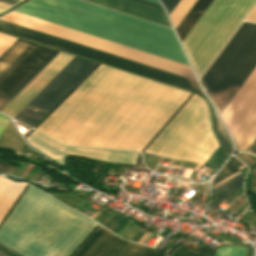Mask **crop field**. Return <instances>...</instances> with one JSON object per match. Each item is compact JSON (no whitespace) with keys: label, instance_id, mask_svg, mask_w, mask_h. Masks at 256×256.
<instances>
[{"label":"crop field","instance_id":"13","mask_svg":"<svg viewBox=\"0 0 256 256\" xmlns=\"http://www.w3.org/2000/svg\"><path fill=\"white\" fill-rule=\"evenodd\" d=\"M159 24L170 26L163 10L132 0H87Z\"/></svg>","mask_w":256,"mask_h":256},{"label":"crop field","instance_id":"1","mask_svg":"<svg viewBox=\"0 0 256 256\" xmlns=\"http://www.w3.org/2000/svg\"><path fill=\"white\" fill-rule=\"evenodd\" d=\"M190 94L100 65L36 130L64 145L142 151Z\"/></svg>","mask_w":256,"mask_h":256},{"label":"crop field","instance_id":"23","mask_svg":"<svg viewBox=\"0 0 256 256\" xmlns=\"http://www.w3.org/2000/svg\"><path fill=\"white\" fill-rule=\"evenodd\" d=\"M224 159H225V157L219 147L212 154V156L207 160V162L204 164V166H207V167L217 170L221 166Z\"/></svg>","mask_w":256,"mask_h":256},{"label":"crop field","instance_id":"7","mask_svg":"<svg viewBox=\"0 0 256 256\" xmlns=\"http://www.w3.org/2000/svg\"><path fill=\"white\" fill-rule=\"evenodd\" d=\"M256 0H214L182 42L199 79Z\"/></svg>","mask_w":256,"mask_h":256},{"label":"crop field","instance_id":"27","mask_svg":"<svg viewBox=\"0 0 256 256\" xmlns=\"http://www.w3.org/2000/svg\"><path fill=\"white\" fill-rule=\"evenodd\" d=\"M160 1L166 8L168 15L173 10V8L176 6V4L179 2V0H160Z\"/></svg>","mask_w":256,"mask_h":256},{"label":"crop field","instance_id":"21","mask_svg":"<svg viewBox=\"0 0 256 256\" xmlns=\"http://www.w3.org/2000/svg\"><path fill=\"white\" fill-rule=\"evenodd\" d=\"M214 251L202 246L199 253L195 254L187 250L186 247L178 246L171 254V256H213Z\"/></svg>","mask_w":256,"mask_h":256},{"label":"crop field","instance_id":"39","mask_svg":"<svg viewBox=\"0 0 256 256\" xmlns=\"http://www.w3.org/2000/svg\"><path fill=\"white\" fill-rule=\"evenodd\" d=\"M0 256H4V255H2V254L0 253Z\"/></svg>","mask_w":256,"mask_h":256},{"label":"crop field","instance_id":"19","mask_svg":"<svg viewBox=\"0 0 256 256\" xmlns=\"http://www.w3.org/2000/svg\"><path fill=\"white\" fill-rule=\"evenodd\" d=\"M213 115H214V124H215V130H216L217 137H218L226 155L228 156L232 150L231 140H230L229 136L227 135V133L225 132V130L223 129L214 110H213Z\"/></svg>","mask_w":256,"mask_h":256},{"label":"crop field","instance_id":"12","mask_svg":"<svg viewBox=\"0 0 256 256\" xmlns=\"http://www.w3.org/2000/svg\"><path fill=\"white\" fill-rule=\"evenodd\" d=\"M52 51L37 45L1 82L0 103Z\"/></svg>","mask_w":256,"mask_h":256},{"label":"crop field","instance_id":"35","mask_svg":"<svg viewBox=\"0 0 256 256\" xmlns=\"http://www.w3.org/2000/svg\"><path fill=\"white\" fill-rule=\"evenodd\" d=\"M0 249H2L4 252H6L9 256H17V255L11 253L9 250H7V249H5V248H3L1 246H0Z\"/></svg>","mask_w":256,"mask_h":256},{"label":"crop field","instance_id":"34","mask_svg":"<svg viewBox=\"0 0 256 256\" xmlns=\"http://www.w3.org/2000/svg\"><path fill=\"white\" fill-rule=\"evenodd\" d=\"M20 0H0V2H4V3H8V4H15L17 2H19Z\"/></svg>","mask_w":256,"mask_h":256},{"label":"crop field","instance_id":"32","mask_svg":"<svg viewBox=\"0 0 256 256\" xmlns=\"http://www.w3.org/2000/svg\"><path fill=\"white\" fill-rule=\"evenodd\" d=\"M248 153L256 154V139L247 151Z\"/></svg>","mask_w":256,"mask_h":256},{"label":"crop field","instance_id":"17","mask_svg":"<svg viewBox=\"0 0 256 256\" xmlns=\"http://www.w3.org/2000/svg\"><path fill=\"white\" fill-rule=\"evenodd\" d=\"M58 53L53 50L25 80L0 104V112L15 98V96L44 68V66Z\"/></svg>","mask_w":256,"mask_h":256},{"label":"crop field","instance_id":"9","mask_svg":"<svg viewBox=\"0 0 256 256\" xmlns=\"http://www.w3.org/2000/svg\"><path fill=\"white\" fill-rule=\"evenodd\" d=\"M26 139L33 147H35L45 156L55 160L60 164H63L66 154H69L84 156L95 161L136 165L139 155L127 152L63 147L35 131H33L31 135Z\"/></svg>","mask_w":256,"mask_h":256},{"label":"crop field","instance_id":"16","mask_svg":"<svg viewBox=\"0 0 256 256\" xmlns=\"http://www.w3.org/2000/svg\"><path fill=\"white\" fill-rule=\"evenodd\" d=\"M212 0H197L175 29L181 42L209 6Z\"/></svg>","mask_w":256,"mask_h":256},{"label":"crop field","instance_id":"8","mask_svg":"<svg viewBox=\"0 0 256 256\" xmlns=\"http://www.w3.org/2000/svg\"><path fill=\"white\" fill-rule=\"evenodd\" d=\"M95 65L74 57L14 119L34 127Z\"/></svg>","mask_w":256,"mask_h":256},{"label":"crop field","instance_id":"2","mask_svg":"<svg viewBox=\"0 0 256 256\" xmlns=\"http://www.w3.org/2000/svg\"><path fill=\"white\" fill-rule=\"evenodd\" d=\"M15 12L188 65L171 29L80 0H32Z\"/></svg>","mask_w":256,"mask_h":256},{"label":"crop field","instance_id":"14","mask_svg":"<svg viewBox=\"0 0 256 256\" xmlns=\"http://www.w3.org/2000/svg\"><path fill=\"white\" fill-rule=\"evenodd\" d=\"M36 46L17 39L0 56V81Z\"/></svg>","mask_w":256,"mask_h":256},{"label":"crop field","instance_id":"15","mask_svg":"<svg viewBox=\"0 0 256 256\" xmlns=\"http://www.w3.org/2000/svg\"><path fill=\"white\" fill-rule=\"evenodd\" d=\"M25 186L26 184H16L0 177V221Z\"/></svg>","mask_w":256,"mask_h":256},{"label":"crop field","instance_id":"3","mask_svg":"<svg viewBox=\"0 0 256 256\" xmlns=\"http://www.w3.org/2000/svg\"><path fill=\"white\" fill-rule=\"evenodd\" d=\"M256 66V24L243 22L201 78L219 115ZM240 151L256 138V68L221 113Z\"/></svg>","mask_w":256,"mask_h":256},{"label":"crop field","instance_id":"18","mask_svg":"<svg viewBox=\"0 0 256 256\" xmlns=\"http://www.w3.org/2000/svg\"><path fill=\"white\" fill-rule=\"evenodd\" d=\"M196 0H181L174 11L169 15L174 28L179 24Z\"/></svg>","mask_w":256,"mask_h":256},{"label":"crop field","instance_id":"37","mask_svg":"<svg viewBox=\"0 0 256 256\" xmlns=\"http://www.w3.org/2000/svg\"><path fill=\"white\" fill-rule=\"evenodd\" d=\"M147 232L145 233V235L140 239V241H139V243H141L142 242V240L147 236ZM149 235V234H148ZM146 239V238H145Z\"/></svg>","mask_w":256,"mask_h":256},{"label":"crop field","instance_id":"4","mask_svg":"<svg viewBox=\"0 0 256 256\" xmlns=\"http://www.w3.org/2000/svg\"><path fill=\"white\" fill-rule=\"evenodd\" d=\"M97 225L29 186L0 227V243L24 256H70Z\"/></svg>","mask_w":256,"mask_h":256},{"label":"crop field","instance_id":"5","mask_svg":"<svg viewBox=\"0 0 256 256\" xmlns=\"http://www.w3.org/2000/svg\"><path fill=\"white\" fill-rule=\"evenodd\" d=\"M0 19L10 21L25 27H29L47 34H51L66 40H70L85 46H89L107 53H111L126 59H130L145 65H149L167 72H171L186 78L196 80L190 67L37 20L25 15L12 12ZM0 20V30L6 33L55 47L84 57H88L103 63H107L122 69H126L141 75H145L160 81H164L179 87H183L204 96L198 82L186 79L171 73H167L149 66H145L130 60H126L111 54H107L89 47H85L70 41H66L51 35H47L29 28H25L10 22ZM87 58V59H88Z\"/></svg>","mask_w":256,"mask_h":256},{"label":"crop field","instance_id":"11","mask_svg":"<svg viewBox=\"0 0 256 256\" xmlns=\"http://www.w3.org/2000/svg\"><path fill=\"white\" fill-rule=\"evenodd\" d=\"M71 59L59 54L3 111L15 116Z\"/></svg>","mask_w":256,"mask_h":256},{"label":"crop field","instance_id":"25","mask_svg":"<svg viewBox=\"0 0 256 256\" xmlns=\"http://www.w3.org/2000/svg\"><path fill=\"white\" fill-rule=\"evenodd\" d=\"M16 40V38L0 34V55Z\"/></svg>","mask_w":256,"mask_h":256},{"label":"crop field","instance_id":"36","mask_svg":"<svg viewBox=\"0 0 256 256\" xmlns=\"http://www.w3.org/2000/svg\"><path fill=\"white\" fill-rule=\"evenodd\" d=\"M7 6V4L0 3V8L3 9Z\"/></svg>","mask_w":256,"mask_h":256},{"label":"crop field","instance_id":"24","mask_svg":"<svg viewBox=\"0 0 256 256\" xmlns=\"http://www.w3.org/2000/svg\"><path fill=\"white\" fill-rule=\"evenodd\" d=\"M244 180V179H243ZM243 180L227 187L226 189H224L223 191H221L220 193H218L216 196H214V200L212 202V205L217 207L222 201L223 199L229 195L232 191H234L235 189L239 188L240 186H242Z\"/></svg>","mask_w":256,"mask_h":256},{"label":"crop field","instance_id":"33","mask_svg":"<svg viewBox=\"0 0 256 256\" xmlns=\"http://www.w3.org/2000/svg\"><path fill=\"white\" fill-rule=\"evenodd\" d=\"M238 174H240V171L237 172V173H235V174H233V175H231V176H229V177H227L226 179L222 180L221 182L217 183L215 186H213V189L216 188V187H218V186L221 185L223 182H225V181H227V180L233 178L234 176H236V175H238Z\"/></svg>","mask_w":256,"mask_h":256},{"label":"crop field","instance_id":"31","mask_svg":"<svg viewBox=\"0 0 256 256\" xmlns=\"http://www.w3.org/2000/svg\"><path fill=\"white\" fill-rule=\"evenodd\" d=\"M135 1L142 2V3L148 4V5L154 6V7L161 8V6L156 5V4H159L156 0H146V1H149V2L156 3V4L149 3V2H146V1H143V0H135ZM161 9H162V8H161Z\"/></svg>","mask_w":256,"mask_h":256},{"label":"crop field","instance_id":"29","mask_svg":"<svg viewBox=\"0 0 256 256\" xmlns=\"http://www.w3.org/2000/svg\"><path fill=\"white\" fill-rule=\"evenodd\" d=\"M13 170V167L0 162V173L12 174Z\"/></svg>","mask_w":256,"mask_h":256},{"label":"crop field","instance_id":"38","mask_svg":"<svg viewBox=\"0 0 256 256\" xmlns=\"http://www.w3.org/2000/svg\"><path fill=\"white\" fill-rule=\"evenodd\" d=\"M4 10H0V13L3 12Z\"/></svg>","mask_w":256,"mask_h":256},{"label":"crop field","instance_id":"26","mask_svg":"<svg viewBox=\"0 0 256 256\" xmlns=\"http://www.w3.org/2000/svg\"><path fill=\"white\" fill-rule=\"evenodd\" d=\"M242 178H244V177H243L242 174H241V175H239V176H237V177H235V178H233V179H231V180L225 182L224 184H222L221 186H219L218 188H216V189L213 190L214 195H216V194H217L218 192H220L222 189L226 188L227 186L231 185L232 183H234V182H236V181H238V180H240V179H242Z\"/></svg>","mask_w":256,"mask_h":256},{"label":"crop field","instance_id":"22","mask_svg":"<svg viewBox=\"0 0 256 256\" xmlns=\"http://www.w3.org/2000/svg\"><path fill=\"white\" fill-rule=\"evenodd\" d=\"M245 248L229 246L221 247L217 250L215 256H244Z\"/></svg>","mask_w":256,"mask_h":256},{"label":"crop field","instance_id":"6","mask_svg":"<svg viewBox=\"0 0 256 256\" xmlns=\"http://www.w3.org/2000/svg\"><path fill=\"white\" fill-rule=\"evenodd\" d=\"M218 146L210 107L194 94L144 152L203 165Z\"/></svg>","mask_w":256,"mask_h":256},{"label":"crop field","instance_id":"30","mask_svg":"<svg viewBox=\"0 0 256 256\" xmlns=\"http://www.w3.org/2000/svg\"><path fill=\"white\" fill-rule=\"evenodd\" d=\"M245 21L256 23V6L252 10V12L249 14V16L246 18Z\"/></svg>","mask_w":256,"mask_h":256},{"label":"crop field","instance_id":"20","mask_svg":"<svg viewBox=\"0 0 256 256\" xmlns=\"http://www.w3.org/2000/svg\"><path fill=\"white\" fill-rule=\"evenodd\" d=\"M241 165L243 164L233 157L213 180V185L221 181L222 179L226 178L227 176L237 172V167Z\"/></svg>","mask_w":256,"mask_h":256},{"label":"crop field","instance_id":"10","mask_svg":"<svg viewBox=\"0 0 256 256\" xmlns=\"http://www.w3.org/2000/svg\"><path fill=\"white\" fill-rule=\"evenodd\" d=\"M154 249L121 240L98 227L73 256H159Z\"/></svg>","mask_w":256,"mask_h":256},{"label":"crop field","instance_id":"28","mask_svg":"<svg viewBox=\"0 0 256 256\" xmlns=\"http://www.w3.org/2000/svg\"><path fill=\"white\" fill-rule=\"evenodd\" d=\"M127 221L128 219L122 217L110 230L117 234Z\"/></svg>","mask_w":256,"mask_h":256}]
</instances>
